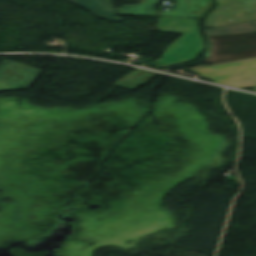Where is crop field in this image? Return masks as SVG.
I'll return each mask as SVG.
<instances>
[{"label":"crop field","mask_w":256,"mask_h":256,"mask_svg":"<svg viewBox=\"0 0 256 256\" xmlns=\"http://www.w3.org/2000/svg\"><path fill=\"white\" fill-rule=\"evenodd\" d=\"M254 92H256V87L251 88Z\"/></svg>","instance_id":"5a996713"},{"label":"crop field","mask_w":256,"mask_h":256,"mask_svg":"<svg viewBox=\"0 0 256 256\" xmlns=\"http://www.w3.org/2000/svg\"><path fill=\"white\" fill-rule=\"evenodd\" d=\"M157 73L144 71L137 69L130 73L129 75L125 76L124 78L120 79L113 85H117L120 87H124L127 89L134 90L145 83H147L149 80H151L153 77H155Z\"/></svg>","instance_id":"e52e79f7"},{"label":"crop field","mask_w":256,"mask_h":256,"mask_svg":"<svg viewBox=\"0 0 256 256\" xmlns=\"http://www.w3.org/2000/svg\"><path fill=\"white\" fill-rule=\"evenodd\" d=\"M211 42L205 63L218 64L256 58V33L207 37Z\"/></svg>","instance_id":"ac0d7876"},{"label":"crop field","mask_w":256,"mask_h":256,"mask_svg":"<svg viewBox=\"0 0 256 256\" xmlns=\"http://www.w3.org/2000/svg\"><path fill=\"white\" fill-rule=\"evenodd\" d=\"M41 70L3 60L0 64V91L29 89Z\"/></svg>","instance_id":"f4fd0767"},{"label":"crop field","mask_w":256,"mask_h":256,"mask_svg":"<svg viewBox=\"0 0 256 256\" xmlns=\"http://www.w3.org/2000/svg\"><path fill=\"white\" fill-rule=\"evenodd\" d=\"M76 5L102 17L109 22H121L123 19L116 16L111 0H70Z\"/></svg>","instance_id":"dd49c442"},{"label":"crop field","mask_w":256,"mask_h":256,"mask_svg":"<svg viewBox=\"0 0 256 256\" xmlns=\"http://www.w3.org/2000/svg\"><path fill=\"white\" fill-rule=\"evenodd\" d=\"M205 35H221L233 33L256 32V21L235 24L219 28L205 29Z\"/></svg>","instance_id":"d8731c3e"},{"label":"crop field","mask_w":256,"mask_h":256,"mask_svg":"<svg viewBox=\"0 0 256 256\" xmlns=\"http://www.w3.org/2000/svg\"><path fill=\"white\" fill-rule=\"evenodd\" d=\"M156 29L164 33L184 34L172 43L155 63L147 65L167 68L197 59L205 48L198 31L197 19L161 17Z\"/></svg>","instance_id":"8a807250"},{"label":"crop field","mask_w":256,"mask_h":256,"mask_svg":"<svg viewBox=\"0 0 256 256\" xmlns=\"http://www.w3.org/2000/svg\"><path fill=\"white\" fill-rule=\"evenodd\" d=\"M175 12H162L161 16L201 18L212 6V0H175ZM157 0H141V4L122 6L118 14L153 16Z\"/></svg>","instance_id":"412701ff"},{"label":"crop field","mask_w":256,"mask_h":256,"mask_svg":"<svg viewBox=\"0 0 256 256\" xmlns=\"http://www.w3.org/2000/svg\"><path fill=\"white\" fill-rule=\"evenodd\" d=\"M190 71L218 84L236 88L256 86V60Z\"/></svg>","instance_id":"34b2d1b8"}]
</instances>
